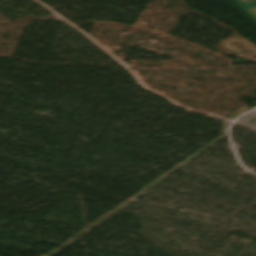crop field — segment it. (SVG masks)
Listing matches in <instances>:
<instances>
[{"label":"crop field","instance_id":"crop-field-1","mask_svg":"<svg viewBox=\"0 0 256 256\" xmlns=\"http://www.w3.org/2000/svg\"><path fill=\"white\" fill-rule=\"evenodd\" d=\"M256 20V0H232Z\"/></svg>","mask_w":256,"mask_h":256}]
</instances>
